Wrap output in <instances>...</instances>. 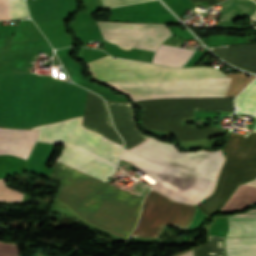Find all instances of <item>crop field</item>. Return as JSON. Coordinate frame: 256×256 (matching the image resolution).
<instances>
[{
	"instance_id": "8",
	"label": "crop field",
	"mask_w": 256,
	"mask_h": 256,
	"mask_svg": "<svg viewBox=\"0 0 256 256\" xmlns=\"http://www.w3.org/2000/svg\"><path fill=\"white\" fill-rule=\"evenodd\" d=\"M105 40L120 48L155 51L171 35L165 25L97 22Z\"/></svg>"
},
{
	"instance_id": "5",
	"label": "crop field",
	"mask_w": 256,
	"mask_h": 256,
	"mask_svg": "<svg viewBox=\"0 0 256 256\" xmlns=\"http://www.w3.org/2000/svg\"><path fill=\"white\" fill-rule=\"evenodd\" d=\"M85 65L96 81L226 77L210 67L168 68L108 55Z\"/></svg>"
},
{
	"instance_id": "15",
	"label": "crop field",
	"mask_w": 256,
	"mask_h": 256,
	"mask_svg": "<svg viewBox=\"0 0 256 256\" xmlns=\"http://www.w3.org/2000/svg\"><path fill=\"white\" fill-rule=\"evenodd\" d=\"M10 19L27 17V10L23 0H9Z\"/></svg>"
},
{
	"instance_id": "3",
	"label": "crop field",
	"mask_w": 256,
	"mask_h": 256,
	"mask_svg": "<svg viewBox=\"0 0 256 256\" xmlns=\"http://www.w3.org/2000/svg\"><path fill=\"white\" fill-rule=\"evenodd\" d=\"M82 117L31 129H39L37 141L64 145L57 161L106 182L118 169L122 146L86 130Z\"/></svg>"
},
{
	"instance_id": "7",
	"label": "crop field",
	"mask_w": 256,
	"mask_h": 256,
	"mask_svg": "<svg viewBox=\"0 0 256 256\" xmlns=\"http://www.w3.org/2000/svg\"><path fill=\"white\" fill-rule=\"evenodd\" d=\"M193 216L194 206L175 203L151 190L144 200L140 220L131 236L158 237L165 223L186 229Z\"/></svg>"
},
{
	"instance_id": "13",
	"label": "crop field",
	"mask_w": 256,
	"mask_h": 256,
	"mask_svg": "<svg viewBox=\"0 0 256 256\" xmlns=\"http://www.w3.org/2000/svg\"><path fill=\"white\" fill-rule=\"evenodd\" d=\"M227 256H256V237L225 238Z\"/></svg>"
},
{
	"instance_id": "17",
	"label": "crop field",
	"mask_w": 256,
	"mask_h": 256,
	"mask_svg": "<svg viewBox=\"0 0 256 256\" xmlns=\"http://www.w3.org/2000/svg\"><path fill=\"white\" fill-rule=\"evenodd\" d=\"M0 256H18L16 245L0 242Z\"/></svg>"
},
{
	"instance_id": "1",
	"label": "crop field",
	"mask_w": 256,
	"mask_h": 256,
	"mask_svg": "<svg viewBox=\"0 0 256 256\" xmlns=\"http://www.w3.org/2000/svg\"><path fill=\"white\" fill-rule=\"evenodd\" d=\"M144 142L174 154L220 169L224 158L219 151L177 152L173 144L151 137ZM142 142L123 150V160L130 162L157 182L152 189L181 202L196 204L209 196L214 188L218 170L174 155Z\"/></svg>"
},
{
	"instance_id": "11",
	"label": "crop field",
	"mask_w": 256,
	"mask_h": 256,
	"mask_svg": "<svg viewBox=\"0 0 256 256\" xmlns=\"http://www.w3.org/2000/svg\"><path fill=\"white\" fill-rule=\"evenodd\" d=\"M229 232L226 237L255 236L256 235V209L227 216Z\"/></svg>"
},
{
	"instance_id": "9",
	"label": "crop field",
	"mask_w": 256,
	"mask_h": 256,
	"mask_svg": "<svg viewBox=\"0 0 256 256\" xmlns=\"http://www.w3.org/2000/svg\"><path fill=\"white\" fill-rule=\"evenodd\" d=\"M38 130L0 128V154L27 159L37 139Z\"/></svg>"
},
{
	"instance_id": "12",
	"label": "crop field",
	"mask_w": 256,
	"mask_h": 256,
	"mask_svg": "<svg viewBox=\"0 0 256 256\" xmlns=\"http://www.w3.org/2000/svg\"><path fill=\"white\" fill-rule=\"evenodd\" d=\"M192 51L160 45L152 62L162 65L181 66L190 57Z\"/></svg>"
},
{
	"instance_id": "14",
	"label": "crop field",
	"mask_w": 256,
	"mask_h": 256,
	"mask_svg": "<svg viewBox=\"0 0 256 256\" xmlns=\"http://www.w3.org/2000/svg\"><path fill=\"white\" fill-rule=\"evenodd\" d=\"M22 193L7 187L4 178L0 179V201L19 202L22 199Z\"/></svg>"
},
{
	"instance_id": "21",
	"label": "crop field",
	"mask_w": 256,
	"mask_h": 256,
	"mask_svg": "<svg viewBox=\"0 0 256 256\" xmlns=\"http://www.w3.org/2000/svg\"><path fill=\"white\" fill-rule=\"evenodd\" d=\"M250 19L256 20V11L253 12V14L251 15Z\"/></svg>"
},
{
	"instance_id": "18",
	"label": "crop field",
	"mask_w": 256,
	"mask_h": 256,
	"mask_svg": "<svg viewBox=\"0 0 256 256\" xmlns=\"http://www.w3.org/2000/svg\"><path fill=\"white\" fill-rule=\"evenodd\" d=\"M194 5L206 1L210 7L218 4L215 0H191Z\"/></svg>"
},
{
	"instance_id": "20",
	"label": "crop field",
	"mask_w": 256,
	"mask_h": 256,
	"mask_svg": "<svg viewBox=\"0 0 256 256\" xmlns=\"http://www.w3.org/2000/svg\"><path fill=\"white\" fill-rule=\"evenodd\" d=\"M247 185H252V186H256V179L251 181V182H248V183H245Z\"/></svg>"
},
{
	"instance_id": "2",
	"label": "crop field",
	"mask_w": 256,
	"mask_h": 256,
	"mask_svg": "<svg viewBox=\"0 0 256 256\" xmlns=\"http://www.w3.org/2000/svg\"><path fill=\"white\" fill-rule=\"evenodd\" d=\"M51 175L62 180L55 199L79 217L127 238L133 230L142 199L55 161Z\"/></svg>"
},
{
	"instance_id": "6",
	"label": "crop field",
	"mask_w": 256,
	"mask_h": 256,
	"mask_svg": "<svg viewBox=\"0 0 256 256\" xmlns=\"http://www.w3.org/2000/svg\"><path fill=\"white\" fill-rule=\"evenodd\" d=\"M230 78L102 82L132 101L160 97H223Z\"/></svg>"
},
{
	"instance_id": "16",
	"label": "crop field",
	"mask_w": 256,
	"mask_h": 256,
	"mask_svg": "<svg viewBox=\"0 0 256 256\" xmlns=\"http://www.w3.org/2000/svg\"><path fill=\"white\" fill-rule=\"evenodd\" d=\"M105 8L117 7L122 5H128L138 2H144L149 0H102Z\"/></svg>"
},
{
	"instance_id": "10",
	"label": "crop field",
	"mask_w": 256,
	"mask_h": 256,
	"mask_svg": "<svg viewBox=\"0 0 256 256\" xmlns=\"http://www.w3.org/2000/svg\"><path fill=\"white\" fill-rule=\"evenodd\" d=\"M210 49L237 67L256 71V44H231Z\"/></svg>"
},
{
	"instance_id": "22",
	"label": "crop field",
	"mask_w": 256,
	"mask_h": 256,
	"mask_svg": "<svg viewBox=\"0 0 256 256\" xmlns=\"http://www.w3.org/2000/svg\"><path fill=\"white\" fill-rule=\"evenodd\" d=\"M218 2L222 1V0H217Z\"/></svg>"
},
{
	"instance_id": "4",
	"label": "crop field",
	"mask_w": 256,
	"mask_h": 256,
	"mask_svg": "<svg viewBox=\"0 0 256 256\" xmlns=\"http://www.w3.org/2000/svg\"><path fill=\"white\" fill-rule=\"evenodd\" d=\"M237 113L256 117V79L247 86L235 101ZM256 133V125L253 129ZM228 133L222 153L226 160L218 176L212 196L197 204L200 210L211 215L218 212L236 187L256 178V134Z\"/></svg>"
},
{
	"instance_id": "19",
	"label": "crop field",
	"mask_w": 256,
	"mask_h": 256,
	"mask_svg": "<svg viewBox=\"0 0 256 256\" xmlns=\"http://www.w3.org/2000/svg\"><path fill=\"white\" fill-rule=\"evenodd\" d=\"M180 256H193V251L191 250V251H189L183 255H180Z\"/></svg>"
}]
</instances>
